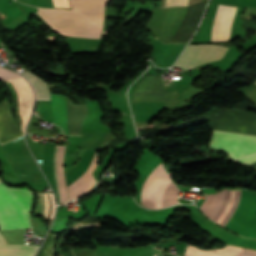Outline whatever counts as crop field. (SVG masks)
I'll use <instances>...</instances> for the list:
<instances>
[{
  "label": "crop field",
  "instance_id": "obj_1",
  "mask_svg": "<svg viewBox=\"0 0 256 256\" xmlns=\"http://www.w3.org/2000/svg\"><path fill=\"white\" fill-rule=\"evenodd\" d=\"M73 10L39 8L38 12L104 14L107 0H69ZM39 16L103 17L104 15L37 13ZM48 25L102 26L103 18L42 17ZM65 36L99 38L102 27L50 26Z\"/></svg>",
  "mask_w": 256,
  "mask_h": 256
},
{
  "label": "crop field",
  "instance_id": "obj_2",
  "mask_svg": "<svg viewBox=\"0 0 256 256\" xmlns=\"http://www.w3.org/2000/svg\"><path fill=\"white\" fill-rule=\"evenodd\" d=\"M34 195L28 190L0 184V230L28 228Z\"/></svg>",
  "mask_w": 256,
  "mask_h": 256
},
{
  "label": "crop field",
  "instance_id": "obj_3",
  "mask_svg": "<svg viewBox=\"0 0 256 256\" xmlns=\"http://www.w3.org/2000/svg\"><path fill=\"white\" fill-rule=\"evenodd\" d=\"M169 172L164 162L160 163L146 179L141 191V203L144 207L157 208L156 196L158 188ZM179 189L170 179V173L164 178L158 191L157 204L158 208L177 204L176 197Z\"/></svg>",
  "mask_w": 256,
  "mask_h": 256
},
{
  "label": "crop field",
  "instance_id": "obj_4",
  "mask_svg": "<svg viewBox=\"0 0 256 256\" xmlns=\"http://www.w3.org/2000/svg\"><path fill=\"white\" fill-rule=\"evenodd\" d=\"M221 150L230 160L256 152V136L218 132L211 134L210 151Z\"/></svg>",
  "mask_w": 256,
  "mask_h": 256
},
{
  "label": "crop field",
  "instance_id": "obj_5",
  "mask_svg": "<svg viewBox=\"0 0 256 256\" xmlns=\"http://www.w3.org/2000/svg\"><path fill=\"white\" fill-rule=\"evenodd\" d=\"M209 129L256 135V114L237 109L218 110L209 117Z\"/></svg>",
  "mask_w": 256,
  "mask_h": 256
},
{
  "label": "crop field",
  "instance_id": "obj_6",
  "mask_svg": "<svg viewBox=\"0 0 256 256\" xmlns=\"http://www.w3.org/2000/svg\"><path fill=\"white\" fill-rule=\"evenodd\" d=\"M228 49L220 45H187L174 66L187 70L198 64L220 60L224 58Z\"/></svg>",
  "mask_w": 256,
  "mask_h": 256
},
{
  "label": "crop field",
  "instance_id": "obj_7",
  "mask_svg": "<svg viewBox=\"0 0 256 256\" xmlns=\"http://www.w3.org/2000/svg\"><path fill=\"white\" fill-rule=\"evenodd\" d=\"M236 7L218 6L210 41L229 40L230 28Z\"/></svg>",
  "mask_w": 256,
  "mask_h": 256
},
{
  "label": "crop field",
  "instance_id": "obj_8",
  "mask_svg": "<svg viewBox=\"0 0 256 256\" xmlns=\"http://www.w3.org/2000/svg\"><path fill=\"white\" fill-rule=\"evenodd\" d=\"M64 151H65V147L57 146L55 159H54V174H55L59 203L67 200L65 178H64V171H63Z\"/></svg>",
  "mask_w": 256,
  "mask_h": 256
},
{
  "label": "crop field",
  "instance_id": "obj_9",
  "mask_svg": "<svg viewBox=\"0 0 256 256\" xmlns=\"http://www.w3.org/2000/svg\"><path fill=\"white\" fill-rule=\"evenodd\" d=\"M51 106L53 114V123L57 124L67 135V117H66V105L65 96L50 94Z\"/></svg>",
  "mask_w": 256,
  "mask_h": 256
},
{
  "label": "crop field",
  "instance_id": "obj_10",
  "mask_svg": "<svg viewBox=\"0 0 256 256\" xmlns=\"http://www.w3.org/2000/svg\"><path fill=\"white\" fill-rule=\"evenodd\" d=\"M38 247L39 245H7L0 234V256H34Z\"/></svg>",
  "mask_w": 256,
  "mask_h": 256
},
{
  "label": "crop field",
  "instance_id": "obj_11",
  "mask_svg": "<svg viewBox=\"0 0 256 256\" xmlns=\"http://www.w3.org/2000/svg\"><path fill=\"white\" fill-rule=\"evenodd\" d=\"M20 74L33 85L37 100H50L48 88L41 78L28 71H24Z\"/></svg>",
  "mask_w": 256,
  "mask_h": 256
},
{
  "label": "crop field",
  "instance_id": "obj_12",
  "mask_svg": "<svg viewBox=\"0 0 256 256\" xmlns=\"http://www.w3.org/2000/svg\"><path fill=\"white\" fill-rule=\"evenodd\" d=\"M58 238V235L48 233L45 241L43 242L40 250L36 256H53L54 255V245Z\"/></svg>",
  "mask_w": 256,
  "mask_h": 256
},
{
  "label": "crop field",
  "instance_id": "obj_13",
  "mask_svg": "<svg viewBox=\"0 0 256 256\" xmlns=\"http://www.w3.org/2000/svg\"><path fill=\"white\" fill-rule=\"evenodd\" d=\"M34 215H41L45 221V193H37Z\"/></svg>",
  "mask_w": 256,
  "mask_h": 256
},
{
  "label": "crop field",
  "instance_id": "obj_14",
  "mask_svg": "<svg viewBox=\"0 0 256 256\" xmlns=\"http://www.w3.org/2000/svg\"><path fill=\"white\" fill-rule=\"evenodd\" d=\"M21 77L17 73L0 66V80Z\"/></svg>",
  "mask_w": 256,
  "mask_h": 256
},
{
  "label": "crop field",
  "instance_id": "obj_15",
  "mask_svg": "<svg viewBox=\"0 0 256 256\" xmlns=\"http://www.w3.org/2000/svg\"><path fill=\"white\" fill-rule=\"evenodd\" d=\"M244 165H250L254 162H256V154H253V155H250V156H247L245 158H242V159H239V160H236Z\"/></svg>",
  "mask_w": 256,
  "mask_h": 256
}]
</instances>
